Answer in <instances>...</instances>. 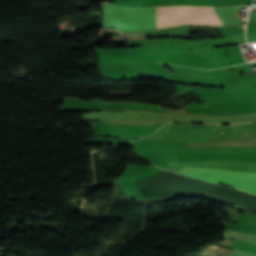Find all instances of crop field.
Listing matches in <instances>:
<instances>
[{"label":"crop field","mask_w":256,"mask_h":256,"mask_svg":"<svg viewBox=\"0 0 256 256\" xmlns=\"http://www.w3.org/2000/svg\"><path fill=\"white\" fill-rule=\"evenodd\" d=\"M187 147H199V146H241L252 147L256 146V140L248 141H221V142H196L186 143Z\"/></svg>","instance_id":"crop-field-3"},{"label":"crop field","mask_w":256,"mask_h":256,"mask_svg":"<svg viewBox=\"0 0 256 256\" xmlns=\"http://www.w3.org/2000/svg\"><path fill=\"white\" fill-rule=\"evenodd\" d=\"M222 256H226V255L222 254Z\"/></svg>","instance_id":"crop-field-4"},{"label":"crop field","mask_w":256,"mask_h":256,"mask_svg":"<svg viewBox=\"0 0 256 256\" xmlns=\"http://www.w3.org/2000/svg\"><path fill=\"white\" fill-rule=\"evenodd\" d=\"M174 171L256 194V174L182 166Z\"/></svg>","instance_id":"crop-field-1"},{"label":"crop field","mask_w":256,"mask_h":256,"mask_svg":"<svg viewBox=\"0 0 256 256\" xmlns=\"http://www.w3.org/2000/svg\"><path fill=\"white\" fill-rule=\"evenodd\" d=\"M208 8L207 7H161V8H157V19L175 16V15H181V14H206V15L212 14L214 15L212 8H209L211 14ZM180 19L217 20L216 17H212V16L181 15V16H175V17H170L165 19H159L157 20V23L172 21V20H180ZM204 20H180V21H173V22H167V23H160V24H157V28L182 25L187 23L221 25L220 22H217V21H204Z\"/></svg>","instance_id":"crop-field-2"}]
</instances>
